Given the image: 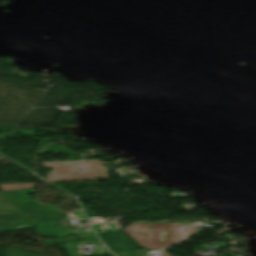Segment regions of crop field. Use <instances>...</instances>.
Instances as JSON below:
<instances>
[{
  "instance_id": "8a807250",
  "label": "crop field",
  "mask_w": 256,
  "mask_h": 256,
  "mask_svg": "<svg viewBox=\"0 0 256 256\" xmlns=\"http://www.w3.org/2000/svg\"><path fill=\"white\" fill-rule=\"evenodd\" d=\"M37 203H39V201L19 203L16 205L26 215L32 224L53 222L54 220L47 213L45 208Z\"/></svg>"
},
{
  "instance_id": "ac0d7876",
  "label": "crop field",
  "mask_w": 256,
  "mask_h": 256,
  "mask_svg": "<svg viewBox=\"0 0 256 256\" xmlns=\"http://www.w3.org/2000/svg\"><path fill=\"white\" fill-rule=\"evenodd\" d=\"M86 243H89V242H86ZM80 244H84V243H80ZM70 245H72V244H68L67 246H70ZM75 245H77V244H75Z\"/></svg>"
}]
</instances>
